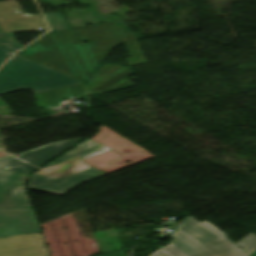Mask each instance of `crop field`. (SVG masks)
<instances>
[{
  "mask_svg": "<svg viewBox=\"0 0 256 256\" xmlns=\"http://www.w3.org/2000/svg\"><path fill=\"white\" fill-rule=\"evenodd\" d=\"M108 149L87 140L35 173L29 188L62 196L83 182L105 175L80 160Z\"/></svg>",
  "mask_w": 256,
  "mask_h": 256,
  "instance_id": "crop-field-1",
  "label": "crop field"
},
{
  "mask_svg": "<svg viewBox=\"0 0 256 256\" xmlns=\"http://www.w3.org/2000/svg\"><path fill=\"white\" fill-rule=\"evenodd\" d=\"M186 218L169 237L170 245L150 256H249L208 222Z\"/></svg>",
  "mask_w": 256,
  "mask_h": 256,
  "instance_id": "crop-field-2",
  "label": "crop field"
},
{
  "mask_svg": "<svg viewBox=\"0 0 256 256\" xmlns=\"http://www.w3.org/2000/svg\"><path fill=\"white\" fill-rule=\"evenodd\" d=\"M77 83L80 82L16 54L0 68V95L26 88L38 93Z\"/></svg>",
  "mask_w": 256,
  "mask_h": 256,
  "instance_id": "crop-field-3",
  "label": "crop field"
},
{
  "mask_svg": "<svg viewBox=\"0 0 256 256\" xmlns=\"http://www.w3.org/2000/svg\"><path fill=\"white\" fill-rule=\"evenodd\" d=\"M84 138L62 141L46 146H42L28 152L19 154L20 157H12L8 164L5 166V170L18 172L29 175L38 167L51 161L58 155L62 154L76 143Z\"/></svg>",
  "mask_w": 256,
  "mask_h": 256,
  "instance_id": "crop-field-4",
  "label": "crop field"
},
{
  "mask_svg": "<svg viewBox=\"0 0 256 256\" xmlns=\"http://www.w3.org/2000/svg\"><path fill=\"white\" fill-rule=\"evenodd\" d=\"M10 158L0 159V208H32L24 188L28 176L2 170Z\"/></svg>",
  "mask_w": 256,
  "mask_h": 256,
  "instance_id": "crop-field-5",
  "label": "crop field"
},
{
  "mask_svg": "<svg viewBox=\"0 0 256 256\" xmlns=\"http://www.w3.org/2000/svg\"><path fill=\"white\" fill-rule=\"evenodd\" d=\"M0 27L4 33L47 30L39 14L24 13L17 1L0 2Z\"/></svg>",
  "mask_w": 256,
  "mask_h": 256,
  "instance_id": "crop-field-6",
  "label": "crop field"
},
{
  "mask_svg": "<svg viewBox=\"0 0 256 256\" xmlns=\"http://www.w3.org/2000/svg\"><path fill=\"white\" fill-rule=\"evenodd\" d=\"M39 232L32 209H0V237Z\"/></svg>",
  "mask_w": 256,
  "mask_h": 256,
  "instance_id": "crop-field-7",
  "label": "crop field"
},
{
  "mask_svg": "<svg viewBox=\"0 0 256 256\" xmlns=\"http://www.w3.org/2000/svg\"><path fill=\"white\" fill-rule=\"evenodd\" d=\"M0 256H47L40 233L0 239Z\"/></svg>",
  "mask_w": 256,
  "mask_h": 256,
  "instance_id": "crop-field-8",
  "label": "crop field"
},
{
  "mask_svg": "<svg viewBox=\"0 0 256 256\" xmlns=\"http://www.w3.org/2000/svg\"><path fill=\"white\" fill-rule=\"evenodd\" d=\"M51 30L68 28L61 13L44 14Z\"/></svg>",
  "mask_w": 256,
  "mask_h": 256,
  "instance_id": "crop-field-9",
  "label": "crop field"
},
{
  "mask_svg": "<svg viewBox=\"0 0 256 256\" xmlns=\"http://www.w3.org/2000/svg\"><path fill=\"white\" fill-rule=\"evenodd\" d=\"M0 44L16 52L20 50L23 45H19L12 33L4 34L0 28Z\"/></svg>",
  "mask_w": 256,
  "mask_h": 256,
  "instance_id": "crop-field-10",
  "label": "crop field"
},
{
  "mask_svg": "<svg viewBox=\"0 0 256 256\" xmlns=\"http://www.w3.org/2000/svg\"><path fill=\"white\" fill-rule=\"evenodd\" d=\"M235 244L241 246L250 255L256 250V235L251 233Z\"/></svg>",
  "mask_w": 256,
  "mask_h": 256,
  "instance_id": "crop-field-11",
  "label": "crop field"
},
{
  "mask_svg": "<svg viewBox=\"0 0 256 256\" xmlns=\"http://www.w3.org/2000/svg\"><path fill=\"white\" fill-rule=\"evenodd\" d=\"M42 97L46 105L59 102L54 90L42 93Z\"/></svg>",
  "mask_w": 256,
  "mask_h": 256,
  "instance_id": "crop-field-12",
  "label": "crop field"
},
{
  "mask_svg": "<svg viewBox=\"0 0 256 256\" xmlns=\"http://www.w3.org/2000/svg\"><path fill=\"white\" fill-rule=\"evenodd\" d=\"M13 54V52L3 48L0 46V65L6 61L11 55Z\"/></svg>",
  "mask_w": 256,
  "mask_h": 256,
  "instance_id": "crop-field-13",
  "label": "crop field"
},
{
  "mask_svg": "<svg viewBox=\"0 0 256 256\" xmlns=\"http://www.w3.org/2000/svg\"><path fill=\"white\" fill-rule=\"evenodd\" d=\"M27 47H28V46H27ZM41 50H43V49H41V48H35V47H28V48L22 50V51L19 52V53L25 56V55L34 54V53L39 52V51H41Z\"/></svg>",
  "mask_w": 256,
  "mask_h": 256,
  "instance_id": "crop-field-14",
  "label": "crop field"
},
{
  "mask_svg": "<svg viewBox=\"0 0 256 256\" xmlns=\"http://www.w3.org/2000/svg\"><path fill=\"white\" fill-rule=\"evenodd\" d=\"M100 256H118V254H117V252H114V253L100 255Z\"/></svg>",
  "mask_w": 256,
  "mask_h": 256,
  "instance_id": "crop-field-15",
  "label": "crop field"
},
{
  "mask_svg": "<svg viewBox=\"0 0 256 256\" xmlns=\"http://www.w3.org/2000/svg\"><path fill=\"white\" fill-rule=\"evenodd\" d=\"M250 256H256V251L254 253H252Z\"/></svg>",
  "mask_w": 256,
  "mask_h": 256,
  "instance_id": "crop-field-16",
  "label": "crop field"
}]
</instances>
